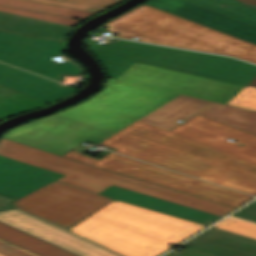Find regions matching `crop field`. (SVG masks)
<instances>
[{"instance_id":"obj_1","label":"crop field","mask_w":256,"mask_h":256,"mask_svg":"<svg viewBox=\"0 0 256 256\" xmlns=\"http://www.w3.org/2000/svg\"><path fill=\"white\" fill-rule=\"evenodd\" d=\"M242 88L135 63L87 101L2 137L60 156L88 139L256 195V164L167 132L199 113L256 134V112L224 105Z\"/></svg>"},{"instance_id":"obj_2","label":"crop field","mask_w":256,"mask_h":256,"mask_svg":"<svg viewBox=\"0 0 256 256\" xmlns=\"http://www.w3.org/2000/svg\"><path fill=\"white\" fill-rule=\"evenodd\" d=\"M204 226L114 200L69 231L125 256H155Z\"/></svg>"},{"instance_id":"obj_3","label":"crop field","mask_w":256,"mask_h":256,"mask_svg":"<svg viewBox=\"0 0 256 256\" xmlns=\"http://www.w3.org/2000/svg\"><path fill=\"white\" fill-rule=\"evenodd\" d=\"M116 37L228 55L256 63V45L142 4L104 24Z\"/></svg>"},{"instance_id":"obj_4","label":"crop field","mask_w":256,"mask_h":256,"mask_svg":"<svg viewBox=\"0 0 256 256\" xmlns=\"http://www.w3.org/2000/svg\"><path fill=\"white\" fill-rule=\"evenodd\" d=\"M112 79L135 62L245 86L256 76V65L224 56L122 40L110 46L89 45Z\"/></svg>"},{"instance_id":"obj_5","label":"crop field","mask_w":256,"mask_h":256,"mask_svg":"<svg viewBox=\"0 0 256 256\" xmlns=\"http://www.w3.org/2000/svg\"><path fill=\"white\" fill-rule=\"evenodd\" d=\"M0 155L64 174L66 176L58 181L90 190L98 194L113 184L221 217L235 209L66 159L3 138L0 139Z\"/></svg>"},{"instance_id":"obj_6","label":"crop field","mask_w":256,"mask_h":256,"mask_svg":"<svg viewBox=\"0 0 256 256\" xmlns=\"http://www.w3.org/2000/svg\"><path fill=\"white\" fill-rule=\"evenodd\" d=\"M63 157L235 208L253 197L235 190L145 164L114 152L101 160L84 156L82 153L73 150L65 154Z\"/></svg>"},{"instance_id":"obj_7","label":"crop field","mask_w":256,"mask_h":256,"mask_svg":"<svg viewBox=\"0 0 256 256\" xmlns=\"http://www.w3.org/2000/svg\"><path fill=\"white\" fill-rule=\"evenodd\" d=\"M112 200L54 181L18 199L13 205L68 230Z\"/></svg>"},{"instance_id":"obj_8","label":"crop field","mask_w":256,"mask_h":256,"mask_svg":"<svg viewBox=\"0 0 256 256\" xmlns=\"http://www.w3.org/2000/svg\"><path fill=\"white\" fill-rule=\"evenodd\" d=\"M62 42L0 32V61L61 81L63 75L80 76L70 62L56 63L50 56L62 53Z\"/></svg>"},{"instance_id":"obj_9","label":"crop field","mask_w":256,"mask_h":256,"mask_svg":"<svg viewBox=\"0 0 256 256\" xmlns=\"http://www.w3.org/2000/svg\"><path fill=\"white\" fill-rule=\"evenodd\" d=\"M169 132L256 163V135L202 115L193 116Z\"/></svg>"},{"instance_id":"obj_10","label":"crop field","mask_w":256,"mask_h":256,"mask_svg":"<svg viewBox=\"0 0 256 256\" xmlns=\"http://www.w3.org/2000/svg\"><path fill=\"white\" fill-rule=\"evenodd\" d=\"M0 221L79 256H118L17 209L0 211Z\"/></svg>"},{"instance_id":"obj_11","label":"crop field","mask_w":256,"mask_h":256,"mask_svg":"<svg viewBox=\"0 0 256 256\" xmlns=\"http://www.w3.org/2000/svg\"><path fill=\"white\" fill-rule=\"evenodd\" d=\"M145 4L256 44V28L184 0H149Z\"/></svg>"},{"instance_id":"obj_12","label":"crop field","mask_w":256,"mask_h":256,"mask_svg":"<svg viewBox=\"0 0 256 256\" xmlns=\"http://www.w3.org/2000/svg\"><path fill=\"white\" fill-rule=\"evenodd\" d=\"M63 176L0 157V193L16 199Z\"/></svg>"},{"instance_id":"obj_13","label":"crop field","mask_w":256,"mask_h":256,"mask_svg":"<svg viewBox=\"0 0 256 256\" xmlns=\"http://www.w3.org/2000/svg\"><path fill=\"white\" fill-rule=\"evenodd\" d=\"M0 84L46 103L77 91L75 88L1 63Z\"/></svg>"},{"instance_id":"obj_14","label":"crop field","mask_w":256,"mask_h":256,"mask_svg":"<svg viewBox=\"0 0 256 256\" xmlns=\"http://www.w3.org/2000/svg\"><path fill=\"white\" fill-rule=\"evenodd\" d=\"M100 195L205 224L207 226L221 218L113 185L100 193Z\"/></svg>"},{"instance_id":"obj_15","label":"crop field","mask_w":256,"mask_h":256,"mask_svg":"<svg viewBox=\"0 0 256 256\" xmlns=\"http://www.w3.org/2000/svg\"><path fill=\"white\" fill-rule=\"evenodd\" d=\"M72 28L0 12V31L63 41Z\"/></svg>"},{"instance_id":"obj_16","label":"crop field","mask_w":256,"mask_h":256,"mask_svg":"<svg viewBox=\"0 0 256 256\" xmlns=\"http://www.w3.org/2000/svg\"><path fill=\"white\" fill-rule=\"evenodd\" d=\"M0 239L40 256H77L0 222Z\"/></svg>"},{"instance_id":"obj_17","label":"crop field","mask_w":256,"mask_h":256,"mask_svg":"<svg viewBox=\"0 0 256 256\" xmlns=\"http://www.w3.org/2000/svg\"><path fill=\"white\" fill-rule=\"evenodd\" d=\"M48 105L0 85V120Z\"/></svg>"},{"instance_id":"obj_18","label":"crop field","mask_w":256,"mask_h":256,"mask_svg":"<svg viewBox=\"0 0 256 256\" xmlns=\"http://www.w3.org/2000/svg\"><path fill=\"white\" fill-rule=\"evenodd\" d=\"M256 27V10L236 0H186ZM221 4L227 6L219 7Z\"/></svg>"},{"instance_id":"obj_19","label":"crop field","mask_w":256,"mask_h":256,"mask_svg":"<svg viewBox=\"0 0 256 256\" xmlns=\"http://www.w3.org/2000/svg\"><path fill=\"white\" fill-rule=\"evenodd\" d=\"M0 5L79 19L93 14L81 10L40 4L26 0H0Z\"/></svg>"},{"instance_id":"obj_20","label":"crop field","mask_w":256,"mask_h":256,"mask_svg":"<svg viewBox=\"0 0 256 256\" xmlns=\"http://www.w3.org/2000/svg\"><path fill=\"white\" fill-rule=\"evenodd\" d=\"M31 1L76 8V9H81V10H86V11L96 13L116 3L118 0H31Z\"/></svg>"},{"instance_id":"obj_21","label":"crop field","mask_w":256,"mask_h":256,"mask_svg":"<svg viewBox=\"0 0 256 256\" xmlns=\"http://www.w3.org/2000/svg\"><path fill=\"white\" fill-rule=\"evenodd\" d=\"M213 228L256 239V224H252L235 218H227Z\"/></svg>"},{"instance_id":"obj_22","label":"crop field","mask_w":256,"mask_h":256,"mask_svg":"<svg viewBox=\"0 0 256 256\" xmlns=\"http://www.w3.org/2000/svg\"><path fill=\"white\" fill-rule=\"evenodd\" d=\"M226 105L256 111V88L244 87Z\"/></svg>"},{"instance_id":"obj_23","label":"crop field","mask_w":256,"mask_h":256,"mask_svg":"<svg viewBox=\"0 0 256 256\" xmlns=\"http://www.w3.org/2000/svg\"><path fill=\"white\" fill-rule=\"evenodd\" d=\"M0 11L17 14V15H22V16H27V17H32V18H37V19H42V20L51 21V22H56V23L65 24V25H71V26H74L79 21H81L79 19L53 16V15L42 14V13L20 10V9H14V8H8V7H3V6H0Z\"/></svg>"},{"instance_id":"obj_24","label":"crop field","mask_w":256,"mask_h":256,"mask_svg":"<svg viewBox=\"0 0 256 256\" xmlns=\"http://www.w3.org/2000/svg\"><path fill=\"white\" fill-rule=\"evenodd\" d=\"M0 256H38L0 240Z\"/></svg>"},{"instance_id":"obj_25","label":"crop field","mask_w":256,"mask_h":256,"mask_svg":"<svg viewBox=\"0 0 256 256\" xmlns=\"http://www.w3.org/2000/svg\"><path fill=\"white\" fill-rule=\"evenodd\" d=\"M232 216L256 222V199L234 213Z\"/></svg>"},{"instance_id":"obj_26","label":"crop field","mask_w":256,"mask_h":256,"mask_svg":"<svg viewBox=\"0 0 256 256\" xmlns=\"http://www.w3.org/2000/svg\"><path fill=\"white\" fill-rule=\"evenodd\" d=\"M164 256H210V255L185 249L181 252L172 250L167 254H165Z\"/></svg>"},{"instance_id":"obj_27","label":"crop field","mask_w":256,"mask_h":256,"mask_svg":"<svg viewBox=\"0 0 256 256\" xmlns=\"http://www.w3.org/2000/svg\"><path fill=\"white\" fill-rule=\"evenodd\" d=\"M12 200H14V198L7 197V196H4V195L0 194V210H6V209L14 208V207H12L11 205L8 204Z\"/></svg>"},{"instance_id":"obj_28","label":"crop field","mask_w":256,"mask_h":256,"mask_svg":"<svg viewBox=\"0 0 256 256\" xmlns=\"http://www.w3.org/2000/svg\"><path fill=\"white\" fill-rule=\"evenodd\" d=\"M238 1L246 4L247 6L251 5V6H255L256 7V0H238Z\"/></svg>"},{"instance_id":"obj_29","label":"crop field","mask_w":256,"mask_h":256,"mask_svg":"<svg viewBox=\"0 0 256 256\" xmlns=\"http://www.w3.org/2000/svg\"><path fill=\"white\" fill-rule=\"evenodd\" d=\"M248 85L256 87V78H254Z\"/></svg>"}]
</instances>
